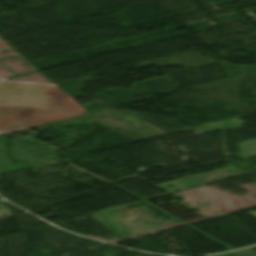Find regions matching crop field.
<instances>
[{
    "instance_id": "7",
    "label": "crop field",
    "mask_w": 256,
    "mask_h": 256,
    "mask_svg": "<svg viewBox=\"0 0 256 256\" xmlns=\"http://www.w3.org/2000/svg\"><path fill=\"white\" fill-rule=\"evenodd\" d=\"M2 81H0V83H1Z\"/></svg>"
},
{
    "instance_id": "4",
    "label": "crop field",
    "mask_w": 256,
    "mask_h": 256,
    "mask_svg": "<svg viewBox=\"0 0 256 256\" xmlns=\"http://www.w3.org/2000/svg\"><path fill=\"white\" fill-rule=\"evenodd\" d=\"M0 105L46 108V106H41V105H28V104L2 103V102H0Z\"/></svg>"
},
{
    "instance_id": "5",
    "label": "crop field",
    "mask_w": 256,
    "mask_h": 256,
    "mask_svg": "<svg viewBox=\"0 0 256 256\" xmlns=\"http://www.w3.org/2000/svg\"><path fill=\"white\" fill-rule=\"evenodd\" d=\"M217 256H235V255L232 253H229V254H223V255H217Z\"/></svg>"
},
{
    "instance_id": "2",
    "label": "crop field",
    "mask_w": 256,
    "mask_h": 256,
    "mask_svg": "<svg viewBox=\"0 0 256 256\" xmlns=\"http://www.w3.org/2000/svg\"><path fill=\"white\" fill-rule=\"evenodd\" d=\"M46 86L4 83L0 85V101L47 105Z\"/></svg>"
},
{
    "instance_id": "6",
    "label": "crop field",
    "mask_w": 256,
    "mask_h": 256,
    "mask_svg": "<svg viewBox=\"0 0 256 256\" xmlns=\"http://www.w3.org/2000/svg\"><path fill=\"white\" fill-rule=\"evenodd\" d=\"M248 213L256 217V212H248Z\"/></svg>"
},
{
    "instance_id": "1",
    "label": "crop field",
    "mask_w": 256,
    "mask_h": 256,
    "mask_svg": "<svg viewBox=\"0 0 256 256\" xmlns=\"http://www.w3.org/2000/svg\"><path fill=\"white\" fill-rule=\"evenodd\" d=\"M47 94L48 110L0 106V134L84 113L55 86H48Z\"/></svg>"
},
{
    "instance_id": "3",
    "label": "crop field",
    "mask_w": 256,
    "mask_h": 256,
    "mask_svg": "<svg viewBox=\"0 0 256 256\" xmlns=\"http://www.w3.org/2000/svg\"><path fill=\"white\" fill-rule=\"evenodd\" d=\"M239 256H256V251L252 248L235 251Z\"/></svg>"
}]
</instances>
